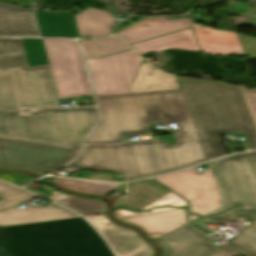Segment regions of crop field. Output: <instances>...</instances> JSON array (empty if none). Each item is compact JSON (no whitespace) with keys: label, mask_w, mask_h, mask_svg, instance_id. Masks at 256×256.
Instances as JSON below:
<instances>
[{"label":"crop field","mask_w":256,"mask_h":256,"mask_svg":"<svg viewBox=\"0 0 256 256\" xmlns=\"http://www.w3.org/2000/svg\"><path fill=\"white\" fill-rule=\"evenodd\" d=\"M30 176L27 175H0L1 179H5L9 182L18 181L21 179L29 178Z\"/></svg>","instance_id":"37"},{"label":"crop field","mask_w":256,"mask_h":256,"mask_svg":"<svg viewBox=\"0 0 256 256\" xmlns=\"http://www.w3.org/2000/svg\"><path fill=\"white\" fill-rule=\"evenodd\" d=\"M238 255L236 252L228 249L223 246L218 252H216L213 256H236Z\"/></svg>","instance_id":"36"},{"label":"crop field","mask_w":256,"mask_h":256,"mask_svg":"<svg viewBox=\"0 0 256 256\" xmlns=\"http://www.w3.org/2000/svg\"><path fill=\"white\" fill-rule=\"evenodd\" d=\"M240 218H244L250 222L256 220V208L235 207L226 213L203 219L204 222L212 221L219 225L222 223H231Z\"/></svg>","instance_id":"27"},{"label":"crop field","mask_w":256,"mask_h":256,"mask_svg":"<svg viewBox=\"0 0 256 256\" xmlns=\"http://www.w3.org/2000/svg\"><path fill=\"white\" fill-rule=\"evenodd\" d=\"M18 191H22V190L14 187V186H11L9 184L0 186V196L18 192ZM34 197H37V196H35L29 192H24V193L1 198L4 202L0 203V211L3 209H7L11 206H14V205H16L22 201H25L27 199L34 198Z\"/></svg>","instance_id":"29"},{"label":"crop field","mask_w":256,"mask_h":256,"mask_svg":"<svg viewBox=\"0 0 256 256\" xmlns=\"http://www.w3.org/2000/svg\"><path fill=\"white\" fill-rule=\"evenodd\" d=\"M76 19L80 35L90 37H103L110 34L111 25L116 21L109 13L95 8L82 11L81 15H76Z\"/></svg>","instance_id":"21"},{"label":"crop field","mask_w":256,"mask_h":256,"mask_svg":"<svg viewBox=\"0 0 256 256\" xmlns=\"http://www.w3.org/2000/svg\"><path fill=\"white\" fill-rule=\"evenodd\" d=\"M0 36H39L34 13L0 2Z\"/></svg>","instance_id":"15"},{"label":"crop field","mask_w":256,"mask_h":256,"mask_svg":"<svg viewBox=\"0 0 256 256\" xmlns=\"http://www.w3.org/2000/svg\"><path fill=\"white\" fill-rule=\"evenodd\" d=\"M125 26H127L125 23H120V24H118L115 28H114V31H117V30H119V29H121V28H123V27H125Z\"/></svg>","instance_id":"39"},{"label":"crop field","mask_w":256,"mask_h":256,"mask_svg":"<svg viewBox=\"0 0 256 256\" xmlns=\"http://www.w3.org/2000/svg\"><path fill=\"white\" fill-rule=\"evenodd\" d=\"M174 89H179L176 77L161 71L149 63L141 66L130 87L131 93Z\"/></svg>","instance_id":"18"},{"label":"crop field","mask_w":256,"mask_h":256,"mask_svg":"<svg viewBox=\"0 0 256 256\" xmlns=\"http://www.w3.org/2000/svg\"><path fill=\"white\" fill-rule=\"evenodd\" d=\"M1 184H5V183L0 181V185H1Z\"/></svg>","instance_id":"42"},{"label":"crop field","mask_w":256,"mask_h":256,"mask_svg":"<svg viewBox=\"0 0 256 256\" xmlns=\"http://www.w3.org/2000/svg\"><path fill=\"white\" fill-rule=\"evenodd\" d=\"M188 27H191L190 19L169 22L165 18L158 17L140 22L135 26L116 34L115 36L124 39L128 44H132L141 40L175 32Z\"/></svg>","instance_id":"17"},{"label":"crop field","mask_w":256,"mask_h":256,"mask_svg":"<svg viewBox=\"0 0 256 256\" xmlns=\"http://www.w3.org/2000/svg\"><path fill=\"white\" fill-rule=\"evenodd\" d=\"M96 120L95 108L0 112V138L80 149Z\"/></svg>","instance_id":"4"},{"label":"crop field","mask_w":256,"mask_h":256,"mask_svg":"<svg viewBox=\"0 0 256 256\" xmlns=\"http://www.w3.org/2000/svg\"><path fill=\"white\" fill-rule=\"evenodd\" d=\"M248 5L249 4H247V3L240 2V3L236 4L235 6H233L230 9L232 11H238V12H245L246 10H248V11H256V8L248 7ZM234 8H237V10H233Z\"/></svg>","instance_id":"35"},{"label":"crop field","mask_w":256,"mask_h":256,"mask_svg":"<svg viewBox=\"0 0 256 256\" xmlns=\"http://www.w3.org/2000/svg\"><path fill=\"white\" fill-rule=\"evenodd\" d=\"M28 66L45 65L47 63L42 39H21Z\"/></svg>","instance_id":"28"},{"label":"crop field","mask_w":256,"mask_h":256,"mask_svg":"<svg viewBox=\"0 0 256 256\" xmlns=\"http://www.w3.org/2000/svg\"><path fill=\"white\" fill-rule=\"evenodd\" d=\"M201 52L210 55L244 56L237 33L217 31L193 24Z\"/></svg>","instance_id":"14"},{"label":"crop field","mask_w":256,"mask_h":256,"mask_svg":"<svg viewBox=\"0 0 256 256\" xmlns=\"http://www.w3.org/2000/svg\"><path fill=\"white\" fill-rule=\"evenodd\" d=\"M87 219L99 229L118 256H152V249L134 232L114 225L104 215Z\"/></svg>","instance_id":"12"},{"label":"crop field","mask_w":256,"mask_h":256,"mask_svg":"<svg viewBox=\"0 0 256 256\" xmlns=\"http://www.w3.org/2000/svg\"><path fill=\"white\" fill-rule=\"evenodd\" d=\"M0 256H12V255L0 250Z\"/></svg>","instance_id":"41"},{"label":"crop field","mask_w":256,"mask_h":256,"mask_svg":"<svg viewBox=\"0 0 256 256\" xmlns=\"http://www.w3.org/2000/svg\"><path fill=\"white\" fill-rule=\"evenodd\" d=\"M86 58L102 57L119 51L130 49L123 41L118 38L108 37L105 39L81 42ZM100 46L101 48H97Z\"/></svg>","instance_id":"25"},{"label":"crop field","mask_w":256,"mask_h":256,"mask_svg":"<svg viewBox=\"0 0 256 256\" xmlns=\"http://www.w3.org/2000/svg\"><path fill=\"white\" fill-rule=\"evenodd\" d=\"M60 108L48 65L0 72V111Z\"/></svg>","instance_id":"5"},{"label":"crop field","mask_w":256,"mask_h":256,"mask_svg":"<svg viewBox=\"0 0 256 256\" xmlns=\"http://www.w3.org/2000/svg\"><path fill=\"white\" fill-rule=\"evenodd\" d=\"M226 245L247 256H256V221Z\"/></svg>","instance_id":"26"},{"label":"crop field","mask_w":256,"mask_h":256,"mask_svg":"<svg viewBox=\"0 0 256 256\" xmlns=\"http://www.w3.org/2000/svg\"><path fill=\"white\" fill-rule=\"evenodd\" d=\"M155 179L187 199L197 215L223 206L209 164L204 172L192 168Z\"/></svg>","instance_id":"10"},{"label":"crop field","mask_w":256,"mask_h":256,"mask_svg":"<svg viewBox=\"0 0 256 256\" xmlns=\"http://www.w3.org/2000/svg\"><path fill=\"white\" fill-rule=\"evenodd\" d=\"M245 55L256 57V38L238 34Z\"/></svg>","instance_id":"32"},{"label":"crop field","mask_w":256,"mask_h":256,"mask_svg":"<svg viewBox=\"0 0 256 256\" xmlns=\"http://www.w3.org/2000/svg\"><path fill=\"white\" fill-rule=\"evenodd\" d=\"M235 205H247L249 207H256V204H250V203H244V202L235 201V202H233V203H231V204H229V205H227L225 207L218 208V209H216V210H214V211L204 215L203 217H206V216H209V215H212V214H217V213H219L221 211H225L226 209H228V208H230L232 206H235Z\"/></svg>","instance_id":"34"},{"label":"crop field","mask_w":256,"mask_h":256,"mask_svg":"<svg viewBox=\"0 0 256 256\" xmlns=\"http://www.w3.org/2000/svg\"><path fill=\"white\" fill-rule=\"evenodd\" d=\"M77 217L80 216L53 203L45 207L9 208L0 212V227Z\"/></svg>","instance_id":"13"},{"label":"crop field","mask_w":256,"mask_h":256,"mask_svg":"<svg viewBox=\"0 0 256 256\" xmlns=\"http://www.w3.org/2000/svg\"><path fill=\"white\" fill-rule=\"evenodd\" d=\"M51 194H53V196L48 197L49 199L59 202L73 210H76L84 216L103 214L107 208L103 201L75 197L64 194L60 191H55Z\"/></svg>","instance_id":"23"},{"label":"crop field","mask_w":256,"mask_h":256,"mask_svg":"<svg viewBox=\"0 0 256 256\" xmlns=\"http://www.w3.org/2000/svg\"><path fill=\"white\" fill-rule=\"evenodd\" d=\"M3 248L14 256H113L82 218L0 228Z\"/></svg>","instance_id":"3"},{"label":"crop field","mask_w":256,"mask_h":256,"mask_svg":"<svg viewBox=\"0 0 256 256\" xmlns=\"http://www.w3.org/2000/svg\"><path fill=\"white\" fill-rule=\"evenodd\" d=\"M52 183L67 189L73 190L82 193L94 194V195H101L105 196L122 184H109L103 182H88V181H81V180H73V179H61L58 178Z\"/></svg>","instance_id":"24"},{"label":"crop field","mask_w":256,"mask_h":256,"mask_svg":"<svg viewBox=\"0 0 256 256\" xmlns=\"http://www.w3.org/2000/svg\"><path fill=\"white\" fill-rule=\"evenodd\" d=\"M154 241L163 250L161 256H211L218 251L209 243L214 239L188 224Z\"/></svg>","instance_id":"11"},{"label":"crop field","mask_w":256,"mask_h":256,"mask_svg":"<svg viewBox=\"0 0 256 256\" xmlns=\"http://www.w3.org/2000/svg\"><path fill=\"white\" fill-rule=\"evenodd\" d=\"M33 179L29 178V179H25V180H22V181H18V182H14L13 184H17L19 186H23L24 184L32 181Z\"/></svg>","instance_id":"38"},{"label":"crop field","mask_w":256,"mask_h":256,"mask_svg":"<svg viewBox=\"0 0 256 256\" xmlns=\"http://www.w3.org/2000/svg\"><path fill=\"white\" fill-rule=\"evenodd\" d=\"M78 151L0 139V169H24L42 176L70 162Z\"/></svg>","instance_id":"7"},{"label":"crop field","mask_w":256,"mask_h":256,"mask_svg":"<svg viewBox=\"0 0 256 256\" xmlns=\"http://www.w3.org/2000/svg\"><path fill=\"white\" fill-rule=\"evenodd\" d=\"M58 98L91 95L78 44L65 39H43Z\"/></svg>","instance_id":"6"},{"label":"crop field","mask_w":256,"mask_h":256,"mask_svg":"<svg viewBox=\"0 0 256 256\" xmlns=\"http://www.w3.org/2000/svg\"><path fill=\"white\" fill-rule=\"evenodd\" d=\"M198 217H199V216L190 214V216H189V221H192V220H194V219H196V218H198Z\"/></svg>","instance_id":"40"},{"label":"crop field","mask_w":256,"mask_h":256,"mask_svg":"<svg viewBox=\"0 0 256 256\" xmlns=\"http://www.w3.org/2000/svg\"><path fill=\"white\" fill-rule=\"evenodd\" d=\"M241 95L244 99V102L247 106L249 114L252 118L254 126L256 128V89L255 90H248L244 86H239Z\"/></svg>","instance_id":"30"},{"label":"crop field","mask_w":256,"mask_h":256,"mask_svg":"<svg viewBox=\"0 0 256 256\" xmlns=\"http://www.w3.org/2000/svg\"><path fill=\"white\" fill-rule=\"evenodd\" d=\"M174 209H178V208H159V209H153L149 212H144V213H132V212H129L126 210H116V211H114V216L119 220V219L135 217V216H140V215H146V214H152V213H158V212L169 211V210H174Z\"/></svg>","instance_id":"33"},{"label":"crop field","mask_w":256,"mask_h":256,"mask_svg":"<svg viewBox=\"0 0 256 256\" xmlns=\"http://www.w3.org/2000/svg\"><path fill=\"white\" fill-rule=\"evenodd\" d=\"M42 37H77L71 13H36Z\"/></svg>","instance_id":"20"},{"label":"crop field","mask_w":256,"mask_h":256,"mask_svg":"<svg viewBox=\"0 0 256 256\" xmlns=\"http://www.w3.org/2000/svg\"><path fill=\"white\" fill-rule=\"evenodd\" d=\"M96 95L130 93L143 59L133 50L102 59H86Z\"/></svg>","instance_id":"9"},{"label":"crop field","mask_w":256,"mask_h":256,"mask_svg":"<svg viewBox=\"0 0 256 256\" xmlns=\"http://www.w3.org/2000/svg\"><path fill=\"white\" fill-rule=\"evenodd\" d=\"M26 58L20 39H0V71L25 68Z\"/></svg>","instance_id":"22"},{"label":"crop field","mask_w":256,"mask_h":256,"mask_svg":"<svg viewBox=\"0 0 256 256\" xmlns=\"http://www.w3.org/2000/svg\"><path fill=\"white\" fill-rule=\"evenodd\" d=\"M96 97L102 121L87 144L143 135L148 123L155 122H175L177 142L87 145L75 162L83 169L123 173L126 181L207 161L182 90Z\"/></svg>","instance_id":"1"},{"label":"crop field","mask_w":256,"mask_h":256,"mask_svg":"<svg viewBox=\"0 0 256 256\" xmlns=\"http://www.w3.org/2000/svg\"><path fill=\"white\" fill-rule=\"evenodd\" d=\"M119 221L135 225L145 231L149 238L154 240L186 224L185 208Z\"/></svg>","instance_id":"16"},{"label":"crop field","mask_w":256,"mask_h":256,"mask_svg":"<svg viewBox=\"0 0 256 256\" xmlns=\"http://www.w3.org/2000/svg\"><path fill=\"white\" fill-rule=\"evenodd\" d=\"M207 159L225 155L219 134L245 132L256 149V130L238 86L179 77Z\"/></svg>","instance_id":"2"},{"label":"crop field","mask_w":256,"mask_h":256,"mask_svg":"<svg viewBox=\"0 0 256 256\" xmlns=\"http://www.w3.org/2000/svg\"><path fill=\"white\" fill-rule=\"evenodd\" d=\"M162 205H166V206H186V203L181 198H179L178 196H176V195H174L173 193L170 192L167 195L160 198L159 200H157L156 202L149 205L148 207L144 208L143 210L150 209L154 206H162Z\"/></svg>","instance_id":"31"},{"label":"crop field","mask_w":256,"mask_h":256,"mask_svg":"<svg viewBox=\"0 0 256 256\" xmlns=\"http://www.w3.org/2000/svg\"><path fill=\"white\" fill-rule=\"evenodd\" d=\"M223 205L234 200L256 203V152L210 162Z\"/></svg>","instance_id":"8"},{"label":"crop field","mask_w":256,"mask_h":256,"mask_svg":"<svg viewBox=\"0 0 256 256\" xmlns=\"http://www.w3.org/2000/svg\"><path fill=\"white\" fill-rule=\"evenodd\" d=\"M132 47H134L140 55L174 47H179L180 49L191 48L192 51H200L192 29L136 43L132 45Z\"/></svg>","instance_id":"19"}]
</instances>
